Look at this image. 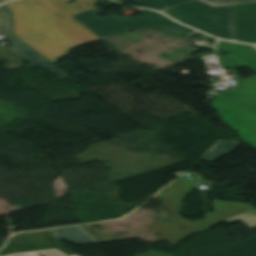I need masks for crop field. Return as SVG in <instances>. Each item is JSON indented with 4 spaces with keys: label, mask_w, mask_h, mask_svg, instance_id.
Returning <instances> with one entry per match:
<instances>
[{
    "label": "crop field",
    "mask_w": 256,
    "mask_h": 256,
    "mask_svg": "<svg viewBox=\"0 0 256 256\" xmlns=\"http://www.w3.org/2000/svg\"><path fill=\"white\" fill-rule=\"evenodd\" d=\"M238 220L243 222L250 229H255L256 228V209L233 216L231 218L225 219L224 221L228 224H232Z\"/></svg>",
    "instance_id": "crop-field-12"
},
{
    "label": "crop field",
    "mask_w": 256,
    "mask_h": 256,
    "mask_svg": "<svg viewBox=\"0 0 256 256\" xmlns=\"http://www.w3.org/2000/svg\"><path fill=\"white\" fill-rule=\"evenodd\" d=\"M46 252L51 253V254L49 255ZM41 254H43L45 256H68L67 254H65L57 249L40 251V252L19 253V254H14V255H9V256H40ZM71 256H77V255L73 254Z\"/></svg>",
    "instance_id": "crop-field-14"
},
{
    "label": "crop field",
    "mask_w": 256,
    "mask_h": 256,
    "mask_svg": "<svg viewBox=\"0 0 256 256\" xmlns=\"http://www.w3.org/2000/svg\"><path fill=\"white\" fill-rule=\"evenodd\" d=\"M240 84L239 88L218 95L212 107L230 128L239 132L241 140L256 147V77Z\"/></svg>",
    "instance_id": "crop-field-3"
},
{
    "label": "crop field",
    "mask_w": 256,
    "mask_h": 256,
    "mask_svg": "<svg viewBox=\"0 0 256 256\" xmlns=\"http://www.w3.org/2000/svg\"><path fill=\"white\" fill-rule=\"evenodd\" d=\"M238 144L239 142L219 140V142L209 150L201 160L209 162L216 161L221 155L232 153Z\"/></svg>",
    "instance_id": "crop-field-11"
},
{
    "label": "crop field",
    "mask_w": 256,
    "mask_h": 256,
    "mask_svg": "<svg viewBox=\"0 0 256 256\" xmlns=\"http://www.w3.org/2000/svg\"><path fill=\"white\" fill-rule=\"evenodd\" d=\"M2 2V0H0V3ZM3 3V2H2Z\"/></svg>",
    "instance_id": "crop-field-17"
},
{
    "label": "crop field",
    "mask_w": 256,
    "mask_h": 256,
    "mask_svg": "<svg viewBox=\"0 0 256 256\" xmlns=\"http://www.w3.org/2000/svg\"><path fill=\"white\" fill-rule=\"evenodd\" d=\"M218 46L256 71V48L251 45L219 41Z\"/></svg>",
    "instance_id": "crop-field-9"
},
{
    "label": "crop field",
    "mask_w": 256,
    "mask_h": 256,
    "mask_svg": "<svg viewBox=\"0 0 256 256\" xmlns=\"http://www.w3.org/2000/svg\"><path fill=\"white\" fill-rule=\"evenodd\" d=\"M201 1L207 2L213 6L256 2V0H201Z\"/></svg>",
    "instance_id": "crop-field-15"
},
{
    "label": "crop field",
    "mask_w": 256,
    "mask_h": 256,
    "mask_svg": "<svg viewBox=\"0 0 256 256\" xmlns=\"http://www.w3.org/2000/svg\"><path fill=\"white\" fill-rule=\"evenodd\" d=\"M213 208H215L216 210L213 211V214L205 215L207 218L206 220H203L200 222H193L191 224L187 220H184L179 223H175L181 226L182 228H184V230L186 231L185 233H182L175 226V224L171 225L169 222H165L155 227V230L153 231L175 246L176 244L181 242L183 239L188 237L190 234L198 230H205L217 224L218 222H220L225 218L253 209V207H251L249 204L220 201V200L214 201ZM203 223L205 224L203 225Z\"/></svg>",
    "instance_id": "crop-field-5"
},
{
    "label": "crop field",
    "mask_w": 256,
    "mask_h": 256,
    "mask_svg": "<svg viewBox=\"0 0 256 256\" xmlns=\"http://www.w3.org/2000/svg\"><path fill=\"white\" fill-rule=\"evenodd\" d=\"M218 38L233 40V5L212 7L198 0H133ZM164 6H167L166 8Z\"/></svg>",
    "instance_id": "crop-field-2"
},
{
    "label": "crop field",
    "mask_w": 256,
    "mask_h": 256,
    "mask_svg": "<svg viewBox=\"0 0 256 256\" xmlns=\"http://www.w3.org/2000/svg\"><path fill=\"white\" fill-rule=\"evenodd\" d=\"M219 60L222 64L223 69H228L230 67H238V68L247 67L245 64H243L242 62H240L238 59H236L230 54L219 57Z\"/></svg>",
    "instance_id": "crop-field-13"
},
{
    "label": "crop field",
    "mask_w": 256,
    "mask_h": 256,
    "mask_svg": "<svg viewBox=\"0 0 256 256\" xmlns=\"http://www.w3.org/2000/svg\"><path fill=\"white\" fill-rule=\"evenodd\" d=\"M3 1H9V0H3Z\"/></svg>",
    "instance_id": "crop-field-16"
},
{
    "label": "crop field",
    "mask_w": 256,
    "mask_h": 256,
    "mask_svg": "<svg viewBox=\"0 0 256 256\" xmlns=\"http://www.w3.org/2000/svg\"><path fill=\"white\" fill-rule=\"evenodd\" d=\"M140 12L146 16L135 18V17H118L116 15L100 18L94 17L97 14V9H93L84 13L74 15L76 20L98 35L100 38H109L132 29H143V28H161L163 30L184 34L192 35L197 31L181 26L162 14L156 13L150 10L140 9Z\"/></svg>",
    "instance_id": "crop-field-4"
},
{
    "label": "crop field",
    "mask_w": 256,
    "mask_h": 256,
    "mask_svg": "<svg viewBox=\"0 0 256 256\" xmlns=\"http://www.w3.org/2000/svg\"><path fill=\"white\" fill-rule=\"evenodd\" d=\"M18 0L7 3L14 35L52 63L70 50L101 40L71 16L93 9L96 0Z\"/></svg>",
    "instance_id": "crop-field-1"
},
{
    "label": "crop field",
    "mask_w": 256,
    "mask_h": 256,
    "mask_svg": "<svg viewBox=\"0 0 256 256\" xmlns=\"http://www.w3.org/2000/svg\"><path fill=\"white\" fill-rule=\"evenodd\" d=\"M52 232L57 237V239H64L78 245L97 243L80 226L54 229ZM59 236H61V238H59Z\"/></svg>",
    "instance_id": "crop-field-10"
},
{
    "label": "crop field",
    "mask_w": 256,
    "mask_h": 256,
    "mask_svg": "<svg viewBox=\"0 0 256 256\" xmlns=\"http://www.w3.org/2000/svg\"><path fill=\"white\" fill-rule=\"evenodd\" d=\"M193 181L194 180L192 179L182 178L178 185L171 183L165 189L162 190V192H165L168 196V198L163 199L162 201L175 221L180 220V217L178 216L177 212L181 205L185 191L191 190Z\"/></svg>",
    "instance_id": "crop-field-8"
},
{
    "label": "crop field",
    "mask_w": 256,
    "mask_h": 256,
    "mask_svg": "<svg viewBox=\"0 0 256 256\" xmlns=\"http://www.w3.org/2000/svg\"><path fill=\"white\" fill-rule=\"evenodd\" d=\"M0 34L6 37L10 44L9 47L30 64L27 66L28 68L39 65L59 79L67 76L66 72L53 65L47 58L13 35V16L6 5L0 6Z\"/></svg>",
    "instance_id": "crop-field-6"
},
{
    "label": "crop field",
    "mask_w": 256,
    "mask_h": 256,
    "mask_svg": "<svg viewBox=\"0 0 256 256\" xmlns=\"http://www.w3.org/2000/svg\"><path fill=\"white\" fill-rule=\"evenodd\" d=\"M235 39L256 44V3L234 5Z\"/></svg>",
    "instance_id": "crop-field-7"
}]
</instances>
